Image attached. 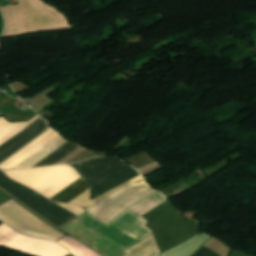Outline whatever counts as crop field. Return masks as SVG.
I'll return each mask as SVG.
<instances>
[{
	"label": "crop field",
	"instance_id": "8a807250",
	"mask_svg": "<svg viewBox=\"0 0 256 256\" xmlns=\"http://www.w3.org/2000/svg\"><path fill=\"white\" fill-rule=\"evenodd\" d=\"M17 2L19 5L9 4L1 8L6 18L3 37L71 27L59 11L41 0Z\"/></svg>",
	"mask_w": 256,
	"mask_h": 256
},
{
	"label": "crop field",
	"instance_id": "ac0d7876",
	"mask_svg": "<svg viewBox=\"0 0 256 256\" xmlns=\"http://www.w3.org/2000/svg\"><path fill=\"white\" fill-rule=\"evenodd\" d=\"M4 172L11 179L31 187L49 199L81 178L68 165Z\"/></svg>",
	"mask_w": 256,
	"mask_h": 256
},
{
	"label": "crop field",
	"instance_id": "34b2d1b8",
	"mask_svg": "<svg viewBox=\"0 0 256 256\" xmlns=\"http://www.w3.org/2000/svg\"><path fill=\"white\" fill-rule=\"evenodd\" d=\"M0 186L58 227L76 216L42 195L10 180L1 170Z\"/></svg>",
	"mask_w": 256,
	"mask_h": 256
},
{
	"label": "crop field",
	"instance_id": "412701ff",
	"mask_svg": "<svg viewBox=\"0 0 256 256\" xmlns=\"http://www.w3.org/2000/svg\"><path fill=\"white\" fill-rule=\"evenodd\" d=\"M25 208V207H24ZM12 199L0 206V219L22 233L52 240L63 234L44 223Z\"/></svg>",
	"mask_w": 256,
	"mask_h": 256
},
{
	"label": "crop field",
	"instance_id": "f4fd0767",
	"mask_svg": "<svg viewBox=\"0 0 256 256\" xmlns=\"http://www.w3.org/2000/svg\"><path fill=\"white\" fill-rule=\"evenodd\" d=\"M76 164L91 187L125 163L118 157H99Z\"/></svg>",
	"mask_w": 256,
	"mask_h": 256
},
{
	"label": "crop field",
	"instance_id": "dd49c442",
	"mask_svg": "<svg viewBox=\"0 0 256 256\" xmlns=\"http://www.w3.org/2000/svg\"><path fill=\"white\" fill-rule=\"evenodd\" d=\"M47 127V122L39 117L11 139L0 145V163L46 130Z\"/></svg>",
	"mask_w": 256,
	"mask_h": 256
},
{
	"label": "crop field",
	"instance_id": "e52e79f7",
	"mask_svg": "<svg viewBox=\"0 0 256 256\" xmlns=\"http://www.w3.org/2000/svg\"><path fill=\"white\" fill-rule=\"evenodd\" d=\"M60 134L53 129H48L42 136L27 145L25 148L17 152L11 158L6 160L0 165L1 169H14L22 162L27 160L33 154H35L39 149L47 145L53 139H55Z\"/></svg>",
	"mask_w": 256,
	"mask_h": 256
},
{
	"label": "crop field",
	"instance_id": "d8731c3e",
	"mask_svg": "<svg viewBox=\"0 0 256 256\" xmlns=\"http://www.w3.org/2000/svg\"><path fill=\"white\" fill-rule=\"evenodd\" d=\"M135 173H137V171L135 169H133L129 165L125 164L122 167H120L119 169H117L116 171L112 172L110 175L105 177L103 180H101L100 182H98L97 184H95L91 188H92V190L95 194V193H97V192H99V191H101V190H103V189H105V188H107V187H109V186H111V185H113V184H115V183L133 175V174H135ZM137 175H139V173L130 177V178H128V179H126V180H124V181H122V182H120V183H118V184H116V185H114V186H112V187H110V188H108V189H106V190H104V191H102V192H100V193H98V194H96V197L105 193V192H107V191H109V190H111L112 188L128 181L129 179H131V178H133Z\"/></svg>",
	"mask_w": 256,
	"mask_h": 256
},
{
	"label": "crop field",
	"instance_id": "5a996713",
	"mask_svg": "<svg viewBox=\"0 0 256 256\" xmlns=\"http://www.w3.org/2000/svg\"><path fill=\"white\" fill-rule=\"evenodd\" d=\"M210 237L208 234L202 233L183 245L164 253L163 256H191Z\"/></svg>",
	"mask_w": 256,
	"mask_h": 256
},
{
	"label": "crop field",
	"instance_id": "3316defc",
	"mask_svg": "<svg viewBox=\"0 0 256 256\" xmlns=\"http://www.w3.org/2000/svg\"><path fill=\"white\" fill-rule=\"evenodd\" d=\"M88 188L89 186L82 177L74 184H72L71 186L60 192L58 195L53 197L51 200L68 203L69 201L77 197L79 194H81Z\"/></svg>",
	"mask_w": 256,
	"mask_h": 256
},
{
	"label": "crop field",
	"instance_id": "28ad6ade",
	"mask_svg": "<svg viewBox=\"0 0 256 256\" xmlns=\"http://www.w3.org/2000/svg\"><path fill=\"white\" fill-rule=\"evenodd\" d=\"M66 142L67 141H65L61 136L58 137L56 140H54L52 143H50L45 148L40 150L38 153H36L31 158H29L27 161L22 163L16 169L33 167L35 164H37L39 161H41L43 158H45L47 155H49L51 152H53L54 150H56Z\"/></svg>",
	"mask_w": 256,
	"mask_h": 256
},
{
	"label": "crop field",
	"instance_id": "d1516ede",
	"mask_svg": "<svg viewBox=\"0 0 256 256\" xmlns=\"http://www.w3.org/2000/svg\"><path fill=\"white\" fill-rule=\"evenodd\" d=\"M79 145L69 141L65 145H63L61 148H59L57 151H55L53 154H51L49 157H47L45 160H43L41 163L36 165L35 167L39 166H47L54 164L64 158L66 155H68L70 152H72L74 149H76Z\"/></svg>",
	"mask_w": 256,
	"mask_h": 256
},
{
	"label": "crop field",
	"instance_id": "22f410ed",
	"mask_svg": "<svg viewBox=\"0 0 256 256\" xmlns=\"http://www.w3.org/2000/svg\"><path fill=\"white\" fill-rule=\"evenodd\" d=\"M94 202H96V199L91 200V191L89 189L70 203H74L83 207H88L91 206Z\"/></svg>",
	"mask_w": 256,
	"mask_h": 256
},
{
	"label": "crop field",
	"instance_id": "cbeb9de0",
	"mask_svg": "<svg viewBox=\"0 0 256 256\" xmlns=\"http://www.w3.org/2000/svg\"><path fill=\"white\" fill-rule=\"evenodd\" d=\"M141 180H144V178L140 175V176H138V177H136V178H134V179H132V180L116 187V188H114L113 190H111V191H109V192H107V193H105V194H103V195H101L97 198H98L99 201H101L102 199H104V198H106V197H108V196H110V195H112V194H114V193H116V192H118V191L136 183V182H139Z\"/></svg>",
	"mask_w": 256,
	"mask_h": 256
},
{
	"label": "crop field",
	"instance_id": "5142ce71",
	"mask_svg": "<svg viewBox=\"0 0 256 256\" xmlns=\"http://www.w3.org/2000/svg\"><path fill=\"white\" fill-rule=\"evenodd\" d=\"M57 204L61 205L62 207L68 209L69 211L73 212L74 214H76L78 216L83 214L84 212H86L83 208L78 207V206L65 204V203H57Z\"/></svg>",
	"mask_w": 256,
	"mask_h": 256
},
{
	"label": "crop field",
	"instance_id": "d9b57169",
	"mask_svg": "<svg viewBox=\"0 0 256 256\" xmlns=\"http://www.w3.org/2000/svg\"><path fill=\"white\" fill-rule=\"evenodd\" d=\"M193 256H218V255L201 247Z\"/></svg>",
	"mask_w": 256,
	"mask_h": 256
},
{
	"label": "crop field",
	"instance_id": "733c2abd",
	"mask_svg": "<svg viewBox=\"0 0 256 256\" xmlns=\"http://www.w3.org/2000/svg\"><path fill=\"white\" fill-rule=\"evenodd\" d=\"M3 222L0 221V225L2 224Z\"/></svg>",
	"mask_w": 256,
	"mask_h": 256
},
{
	"label": "crop field",
	"instance_id": "4a817a6b",
	"mask_svg": "<svg viewBox=\"0 0 256 256\" xmlns=\"http://www.w3.org/2000/svg\"><path fill=\"white\" fill-rule=\"evenodd\" d=\"M2 115H0V117H1Z\"/></svg>",
	"mask_w": 256,
	"mask_h": 256
}]
</instances>
